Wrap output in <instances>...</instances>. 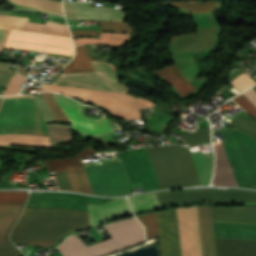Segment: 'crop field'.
<instances>
[{
    "instance_id": "1",
    "label": "crop field",
    "mask_w": 256,
    "mask_h": 256,
    "mask_svg": "<svg viewBox=\"0 0 256 256\" xmlns=\"http://www.w3.org/2000/svg\"><path fill=\"white\" fill-rule=\"evenodd\" d=\"M112 199L114 198L31 192L25 208L72 209L87 212V204L103 205ZM88 227V216L85 212L25 209L10 234V241L51 247L71 231Z\"/></svg>"
},
{
    "instance_id": "2",
    "label": "crop field",
    "mask_w": 256,
    "mask_h": 256,
    "mask_svg": "<svg viewBox=\"0 0 256 256\" xmlns=\"http://www.w3.org/2000/svg\"><path fill=\"white\" fill-rule=\"evenodd\" d=\"M51 145L72 140L66 125H46ZM50 147L45 123L33 96H7L0 103V145Z\"/></svg>"
},
{
    "instance_id": "3",
    "label": "crop field",
    "mask_w": 256,
    "mask_h": 256,
    "mask_svg": "<svg viewBox=\"0 0 256 256\" xmlns=\"http://www.w3.org/2000/svg\"><path fill=\"white\" fill-rule=\"evenodd\" d=\"M91 64L96 72L62 74L54 84L125 93V89L116 82L115 75L108 65L102 61H92ZM48 87L61 86L43 85V90L57 91L81 97L87 101L98 103L109 111L123 108H138L136 100L126 94L78 88H71L77 90H61Z\"/></svg>"
},
{
    "instance_id": "4",
    "label": "crop field",
    "mask_w": 256,
    "mask_h": 256,
    "mask_svg": "<svg viewBox=\"0 0 256 256\" xmlns=\"http://www.w3.org/2000/svg\"><path fill=\"white\" fill-rule=\"evenodd\" d=\"M104 228L113 238L86 247L74 236L64 240L56 248L63 256H101L145 241L143 227L135 217L104 226Z\"/></svg>"
},
{
    "instance_id": "5",
    "label": "crop field",
    "mask_w": 256,
    "mask_h": 256,
    "mask_svg": "<svg viewBox=\"0 0 256 256\" xmlns=\"http://www.w3.org/2000/svg\"><path fill=\"white\" fill-rule=\"evenodd\" d=\"M203 256H215L210 207H198ZM197 207L177 209L182 256H202Z\"/></svg>"
},
{
    "instance_id": "6",
    "label": "crop field",
    "mask_w": 256,
    "mask_h": 256,
    "mask_svg": "<svg viewBox=\"0 0 256 256\" xmlns=\"http://www.w3.org/2000/svg\"><path fill=\"white\" fill-rule=\"evenodd\" d=\"M218 133L237 185L256 189V139L234 128Z\"/></svg>"
},
{
    "instance_id": "7",
    "label": "crop field",
    "mask_w": 256,
    "mask_h": 256,
    "mask_svg": "<svg viewBox=\"0 0 256 256\" xmlns=\"http://www.w3.org/2000/svg\"><path fill=\"white\" fill-rule=\"evenodd\" d=\"M212 207L213 221L256 224V213H246L245 206ZM213 222L217 237L256 239V225Z\"/></svg>"
},
{
    "instance_id": "8",
    "label": "crop field",
    "mask_w": 256,
    "mask_h": 256,
    "mask_svg": "<svg viewBox=\"0 0 256 256\" xmlns=\"http://www.w3.org/2000/svg\"><path fill=\"white\" fill-rule=\"evenodd\" d=\"M160 205L190 201H256V192L239 189H193L156 193ZM248 212H256V205H247Z\"/></svg>"
},
{
    "instance_id": "9",
    "label": "crop field",
    "mask_w": 256,
    "mask_h": 256,
    "mask_svg": "<svg viewBox=\"0 0 256 256\" xmlns=\"http://www.w3.org/2000/svg\"><path fill=\"white\" fill-rule=\"evenodd\" d=\"M27 192L2 191L0 203H25ZM25 204H0V256L23 255L8 240V233L20 215Z\"/></svg>"
},
{
    "instance_id": "10",
    "label": "crop field",
    "mask_w": 256,
    "mask_h": 256,
    "mask_svg": "<svg viewBox=\"0 0 256 256\" xmlns=\"http://www.w3.org/2000/svg\"><path fill=\"white\" fill-rule=\"evenodd\" d=\"M85 171L94 194H131L120 162L87 167Z\"/></svg>"
},
{
    "instance_id": "11",
    "label": "crop field",
    "mask_w": 256,
    "mask_h": 256,
    "mask_svg": "<svg viewBox=\"0 0 256 256\" xmlns=\"http://www.w3.org/2000/svg\"><path fill=\"white\" fill-rule=\"evenodd\" d=\"M118 154L130 183L141 181L145 192L160 189L145 148L118 152Z\"/></svg>"
},
{
    "instance_id": "12",
    "label": "crop field",
    "mask_w": 256,
    "mask_h": 256,
    "mask_svg": "<svg viewBox=\"0 0 256 256\" xmlns=\"http://www.w3.org/2000/svg\"><path fill=\"white\" fill-rule=\"evenodd\" d=\"M54 97L69 118L75 131L92 137L112 131L106 118L102 117L98 120L87 118L81 111V105L59 96Z\"/></svg>"
},
{
    "instance_id": "13",
    "label": "crop field",
    "mask_w": 256,
    "mask_h": 256,
    "mask_svg": "<svg viewBox=\"0 0 256 256\" xmlns=\"http://www.w3.org/2000/svg\"><path fill=\"white\" fill-rule=\"evenodd\" d=\"M94 153L97 152L94 151L93 146H89L84 148L76 157L45 160L44 164L48 172L67 169L74 190L93 194L80 158Z\"/></svg>"
},
{
    "instance_id": "14",
    "label": "crop field",
    "mask_w": 256,
    "mask_h": 256,
    "mask_svg": "<svg viewBox=\"0 0 256 256\" xmlns=\"http://www.w3.org/2000/svg\"><path fill=\"white\" fill-rule=\"evenodd\" d=\"M9 39L51 44V45H59V46H67V47H71V50L43 47V46H36V45H28V44H20V43H12V42H8ZM5 47L33 50V51H42V52L68 54V55H72V51H73V45L71 42V38L30 33V32H22V31H12V30L9 33Z\"/></svg>"
},
{
    "instance_id": "15",
    "label": "crop field",
    "mask_w": 256,
    "mask_h": 256,
    "mask_svg": "<svg viewBox=\"0 0 256 256\" xmlns=\"http://www.w3.org/2000/svg\"><path fill=\"white\" fill-rule=\"evenodd\" d=\"M162 256H181L176 208L156 212Z\"/></svg>"
},
{
    "instance_id": "16",
    "label": "crop field",
    "mask_w": 256,
    "mask_h": 256,
    "mask_svg": "<svg viewBox=\"0 0 256 256\" xmlns=\"http://www.w3.org/2000/svg\"><path fill=\"white\" fill-rule=\"evenodd\" d=\"M160 188L181 187L166 146L146 148Z\"/></svg>"
},
{
    "instance_id": "17",
    "label": "crop field",
    "mask_w": 256,
    "mask_h": 256,
    "mask_svg": "<svg viewBox=\"0 0 256 256\" xmlns=\"http://www.w3.org/2000/svg\"><path fill=\"white\" fill-rule=\"evenodd\" d=\"M181 186L201 185L189 149L182 146H167Z\"/></svg>"
},
{
    "instance_id": "18",
    "label": "crop field",
    "mask_w": 256,
    "mask_h": 256,
    "mask_svg": "<svg viewBox=\"0 0 256 256\" xmlns=\"http://www.w3.org/2000/svg\"><path fill=\"white\" fill-rule=\"evenodd\" d=\"M90 226L132 215L126 198L115 199L103 206L88 205Z\"/></svg>"
},
{
    "instance_id": "19",
    "label": "crop field",
    "mask_w": 256,
    "mask_h": 256,
    "mask_svg": "<svg viewBox=\"0 0 256 256\" xmlns=\"http://www.w3.org/2000/svg\"><path fill=\"white\" fill-rule=\"evenodd\" d=\"M120 9L108 7H91V3H64L67 19L102 20Z\"/></svg>"
},
{
    "instance_id": "20",
    "label": "crop field",
    "mask_w": 256,
    "mask_h": 256,
    "mask_svg": "<svg viewBox=\"0 0 256 256\" xmlns=\"http://www.w3.org/2000/svg\"><path fill=\"white\" fill-rule=\"evenodd\" d=\"M216 256H256V241L215 238Z\"/></svg>"
},
{
    "instance_id": "21",
    "label": "crop field",
    "mask_w": 256,
    "mask_h": 256,
    "mask_svg": "<svg viewBox=\"0 0 256 256\" xmlns=\"http://www.w3.org/2000/svg\"><path fill=\"white\" fill-rule=\"evenodd\" d=\"M214 147L216 152V168L212 184L220 186H237L221 143L215 144Z\"/></svg>"
},
{
    "instance_id": "22",
    "label": "crop field",
    "mask_w": 256,
    "mask_h": 256,
    "mask_svg": "<svg viewBox=\"0 0 256 256\" xmlns=\"http://www.w3.org/2000/svg\"><path fill=\"white\" fill-rule=\"evenodd\" d=\"M156 73L169 81L181 96L196 90L192 84L179 72L176 65Z\"/></svg>"
},
{
    "instance_id": "23",
    "label": "crop field",
    "mask_w": 256,
    "mask_h": 256,
    "mask_svg": "<svg viewBox=\"0 0 256 256\" xmlns=\"http://www.w3.org/2000/svg\"><path fill=\"white\" fill-rule=\"evenodd\" d=\"M203 185H208L213 168V154L201 155L200 152L191 154Z\"/></svg>"
},
{
    "instance_id": "24",
    "label": "crop field",
    "mask_w": 256,
    "mask_h": 256,
    "mask_svg": "<svg viewBox=\"0 0 256 256\" xmlns=\"http://www.w3.org/2000/svg\"><path fill=\"white\" fill-rule=\"evenodd\" d=\"M20 30L71 37L65 25L50 21L45 25L27 22Z\"/></svg>"
},
{
    "instance_id": "25",
    "label": "crop field",
    "mask_w": 256,
    "mask_h": 256,
    "mask_svg": "<svg viewBox=\"0 0 256 256\" xmlns=\"http://www.w3.org/2000/svg\"><path fill=\"white\" fill-rule=\"evenodd\" d=\"M14 4L63 15L61 2L54 0H10Z\"/></svg>"
},
{
    "instance_id": "26",
    "label": "crop field",
    "mask_w": 256,
    "mask_h": 256,
    "mask_svg": "<svg viewBox=\"0 0 256 256\" xmlns=\"http://www.w3.org/2000/svg\"><path fill=\"white\" fill-rule=\"evenodd\" d=\"M94 71L88 61L82 46L76 47V55L74 59L63 68V73L89 72Z\"/></svg>"
},
{
    "instance_id": "27",
    "label": "crop field",
    "mask_w": 256,
    "mask_h": 256,
    "mask_svg": "<svg viewBox=\"0 0 256 256\" xmlns=\"http://www.w3.org/2000/svg\"><path fill=\"white\" fill-rule=\"evenodd\" d=\"M129 34H115V33H100V39L92 38H76L74 39L76 45L84 43H108L119 45L128 38Z\"/></svg>"
},
{
    "instance_id": "28",
    "label": "crop field",
    "mask_w": 256,
    "mask_h": 256,
    "mask_svg": "<svg viewBox=\"0 0 256 256\" xmlns=\"http://www.w3.org/2000/svg\"><path fill=\"white\" fill-rule=\"evenodd\" d=\"M129 202L134 211L159 206L156 196L153 193L130 197Z\"/></svg>"
},
{
    "instance_id": "29",
    "label": "crop field",
    "mask_w": 256,
    "mask_h": 256,
    "mask_svg": "<svg viewBox=\"0 0 256 256\" xmlns=\"http://www.w3.org/2000/svg\"><path fill=\"white\" fill-rule=\"evenodd\" d=\"M181 138L189 145H200L210 143L209 140V128H203L196 130L195 132L180 134Z\"/></svg>"
},
{
    "instance_id": "30",
    "label": "crop field",
    "mask_w": 256,
    "mask_h": 256,
    "mask_svg": "<svg viewBox=\"0 0 256 256\" xmlns=\"http://www.w3.org/2000/svg\"><path fill=\"white\" fill-rule=\"evenodd\" d=\"M230 125L256 138V122L241 114Z\"/></svg>"
},
{
    "instance_id": "31",
    "label": "crop field",
    "mask_w": 256,
    "mask_h": 256,
    "mask_svg": "<svg viewBox=\"0 0 256 256\" xmlns=\"http://www.w3.org/2000/svg\"><path fill=\"white\" fill-rule=\"evenodd\" d=\"M137 218L145 227L147 240L158 236L155 212L138 215Z\"/></svg>"
},
{
    "instance_id": "32",
    "label": "crop field",
    "mask_w": 256,
    "mask_h": 256,
    "mask_svg": "<svg viewBox=\"0 0 256 256\" xmlns=\"http://www.w3.org/2000/svg\"><path fill=\"white\" fill-rule=\"evenodd\" d=\"M171 4L188 11L202 13V12H209L213 10L214 8L218 7L220 3L206 2L201 4H188V3H171Z\"/></svg>"
},
{
    "instance_id": "33",
    "label": "crop field",
    "mask_w": 256,
    "mask_h": 256,
    "mask_svg": "<svg viewBox=\"0 0 256 256\" xmlns=\"http://www.w3.org/2000/svg\"><path fill=\"white\" fill-rule=\"evenodd\" d=\"M198 28L206 47L207 48L215 47L219 27L207 26V27H198Z\"/></svg>"
},
{
    "instance_id": "34",
    "label": "crop field",
    "mask_w": 256,
    "mask_h": 256,
    "mask_svg": "<svg viewBox=\"0 0 256 256\" xmlns=\"http://www.w3.org/2000/svg\"><path fill=\"white\" fill-rule=\"evenodd\" d=\"M26 21L28 19L0 15V28L19 30Z\"/></svg>"
},
{
    "instance_id": "35",
    "label": "crop field",
    "mask_w": 256,
    "mask_h": 256,
    "mask_svg": "<svg viewBox=\"0 0 256 256\" xmlns=\"http://www.w3.org/2000/svg\"><path fill=\"white\" fill-rule=\"evenodd\" d=\"M100 31L134 32L132 28L124 22L109 21H101Z\"/></svg>"
},
{
    "instance_id": "36",
    "label": "crop field",
    "mask_w": 256,
    "mask_h": 256,
    "mask_svg": "<svg viewBox=\"0 0 256 256\" xmlns=\"http://www.w3.org/2000/svg\"><path fill=\"white\" fill-rule=\"evenodd\" d=\"M43 96L48 103L52 113L54 114L57 122H68L67 118L65 117L57 102L52 97L51 93L43 94Z\"/></svg>"
},
{
    "instance_id": "37",
    "label": "crop field",
    "mask_w": 256,
    "mask_h": 256,
    "mask_svg": "<svg viewBox=\"0 0 256 256\" xmlns=\"http://www.w3.org/2000/svg\"><path fill=\"white\" fill-rule=\"evenodd\" d=\"M34 97H35V100H36V102H37V104H38L46 122L48 123V122L55 121V119H54L49 107L47 106L42 94H36V95H34Z\"/></svg>"
},
{
    "instance_id": "38",
    "label": "crop field",
    "mask_w": 256,
    "mask_h": 256,
    "mask_svg": "<svg viewBox=\"0 0 256 256\" xmlns=\"http://www.w3.org/2000/svg\"><path fill=\"white\" fill-rule=\"evenodd\" d=\"M231 84L235 86L239 91H243L246 88L256 84V82L247 75H242L237 79L231 81Z\"/></svg>"
},
{
    "instance_id": "39",
    "label": "crop field",
    "mask_w": 256,
    "mask_h": 256,
    "mask_svg": "<svg viewBox=\"0 0 256 256\" xmlns=\"http://www.w3.org/2000/svg\"><path fill=\"white\" fill-rule=\"evenodd\" d=\"M232 100L256 118V107L243 94Z\"/></svg>"
},
{
    "instance_id": "40",
    "label": "crop field",
    "mask_w": 256,
    "mask_h": 256,
    "mask_svg": "<svg viewBox=\"0 0 256 256\" xmlns=\"http://www.w3.org/2000/svg\"><path fill=\"white\" fill-rule=\"evenodd\" d=\"M24 78L15 75L14 77H12V79L10 80L7 88L5 89L3 95H8V94H17L22 82H23Z\"/></svg>"
},
{
    "instance_id": "41",
    "label": "crop field",
    "mask_w": 256,
    "mask_h": 256,
    "mask_svg": "<svg viewBox=\"0 0 256 256\" xmlns=\"http://www.w3.org/2000/svg\"><path fill=\"white\" fill-rule=\"evenodd\" d=\"M55 176L59 189L73 190L66 170L55 173Z\"/></svg>"
},
{
    "instance_id": "42",
    "label": "crop field",
    "mask_w": 256,
    "mask_h": 256,
    "mask_svg": "<svg viewBox=\"0 0 256 256\" xmlns=\"http://www.w3.org/2000/svg\"><path fill=\"white\" fill-rule=\"evenodd\" d=\"M114 115L118 117H123V118H135V117H140V113L138 109H129V110H119V111H114L111 112Z\"/></svg>"
},
{
    "instance_id": "43",
    "label": "crop field",
    "mask_w": 256,
    "mask_h": 256,
    "mask_svg": "<svg viewBox=\"0 0 256 256\" xmlns=\"http://www.w3.org/2000/svg\"><path fill=\"white\" fill-rule=\"evenodd\" d=\"M73 36H80V35H98V31L92 30H81V31H72Z\"/></svg>"
},
{
    "instance_id": "44",
    "label": "crop field",
    "mask_w": 256,
    "mask_h": 256,
    "mask_svg": "<svg viewBox=\"0 0 256 256\" xmlns=\"http://www.w3.org/2000/svg\"><path fill=\"white\" fill-rule=\"evenodd\" d=\"M126 12H119L117 14H114L104 20H112V21H124Z\"/></svg>"
},
{
    "instance_id": "45",
    "label": "crop field",
    "mask_w": 256,
    "mask_h": 256,
    "mask_svg": "<svg viewBox=\"0 0 256 256\" xmlns=\"http://www.w3.org/2000/svg\"><path fill=\"white\" fill-rule=\"evenodd\" d=\"M243 94L256 106V93L252 88Z\"/></svg>"
},
{
    "instance_id": "46",
    "label": "crop field",
    "mask_w": 256,
    "mask_h": 256,
    "mask_svg": "<svg viewBox=\"0 0 256 256\" xmlns=\"http://www.w3.org/2000/svg\"><path fill=\"white\" fill-rule=\"evenodd\" d=\"M10 30H4V29H0V45H4L6 42V38L8 36ZM2 48V46H0V49ZM1 52V51H0Z\"/></svg>"
},
{
    "instance_id": "47",
    "label": "crop field",
    "mask_w": 256,
    "mask_h": 256,
    "mask_svg": "<svg viewBox=\"0 0 256 256\" xmlns=\"http://www.w3.org/2000/svg\"><path fill=\"white\" fill-rule=\"evenodd\" d=\"M137 102L139 104V107H147V106H153L154 105L151 101L145 100V99L137 98Z\"/></svg>"
},
{
    "instance_id": "48",
    "label": "crop field",
    "mask_w": 256,
    "mask_h": 256,
    "mask_svg": "<svg viewBox=\"0 0 256 256\" xmlns=\"http://www.w3.org/2000/svg\"><path fill=\"white\" fill-rule=\"evenodd\" d=\"M84 50H85V52H86V54H87L89 60L92 61L93 58H92V56H91V54H90V52H89V50H88V48H87L86 46H84Z\"/></svg>"
},
{
    "instance_id": "49",
    "label": "crop field",
    "mask_w": 256,
    "mask_h": 256,
    "mask_svg": "<svg viewBox=\"0 0 256 256\" xmlns=\"http://www.w3.org/2000/svg\"><path fill=\"white\" fill-rule=\"evenodd\" d=\"M8 64H0V69L7 70Z\"/></svg>"
},
{
    "instance_id": "50",
    "label": "crop field",
    "mask_w": 256,
    "mask_h": 256,
    "mask_svg": "<svg viewBox=\"0 0 256 256\" xmlns=\"http://www.w3.org/2000/svg\"><path fill=\"white\" fill-rule=\"evenodd\" d=\"M253 89H254V91L256 92V86H255V87H253Z\"/></svg>"
}]
</instances>
